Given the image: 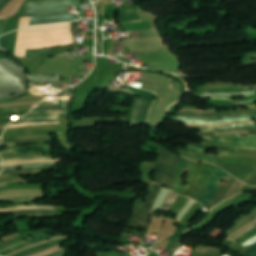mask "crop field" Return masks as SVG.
<instances>
[{"label":"crop field","mask_w":256,"mask_h":256,"mask_svg":"<svg viewBox=\"0 0 256 256\" xmlns=\"http://www.w3.org/2000/svg\"><path fill=\"white\" fill-rule=\"evenodd\" d=\"M64 30H70V23L39 26V27H28V31H27V28L20 30L18 33V38L16 42L15 56L24 57L26 31H27V34H30V33H48V32L64 31ZM71 37L73 36L70 31L55 32V33H49V34H30V35H27L26 42L51 41V40H59V39H65V38H71ZM72 41H73V38L59 40V41H51V42L26 43V49H39V48H45V47L70 45L72 44Z\"/></svg>","instance_id":"obj_1"},{"label":"crop field","mask_w":256,"mask_h":256,"mask_svg":"<svg viewBox=\"0 0 256 256\" xmlns=\"http://www.w3.org/2000/svg\"><path fill=\"white\" fill-rule=\"evenodd\" d=\"M182 158L174 152L163 148L156 160L155 181L171 189L177 167Z\"/></svg>","instance_id":"obj_2"},{"label":"crop field","mask_w":256,"mask_h":256,"mask_svg":"<svg viewBox=\"0 0 256 256\" xmlns=\"http://www.w3.org/2000/svg\"><path fill=\"white\" fill-rule=\"evenodd\" d=\"M27 16H31L30 26L75 20L74 14L68 13L66 7L48 10L27 11Z\"/></svg>","instance_id":"obj_3"},{"label":"crop field","mask_w":256,"mask_h":256,"mask_svg":"<svg viewBox=\"0 0 256 256\" xmlns=\"http://www.w3.org/2000/svg\"><path fill=\"white\" fill-rule=\"evenodd\" d=\"M159 189H160V186H157L155 184L153 185V187L148 195L144 209L138 208V207L133 208V215H132L128 225L142 227V228L148 227L151 206H152L153 200L156 197Z\"/></svg>","instance_id":"obj_4"},{"label":"crop field","mask_w":256,"mask_h":256,"mask_svg":"<svg viewBox=\"0 0 256 256\" xmlns=\"http://www.w3.org/2000/svg\"><path fill=\"white\" fill-rule=\"evenodd\" d=\"M216 169H217V167L206 163L199 178L197 179L194 190L191 193V198L198 201V199L202 195L211 175L215 172Z\"/></svg>","instance_id":"obj_5"},{"label":"crop field","mask_w":256,"mask_h":256,"mask_svg":"<svg viewBox=\"0 0 256 256\" xmlns=\"http://www.w3.org/2000/svg\"><path fill=\"white\" fill-rule=\"evenodd\" d=\"M226 174L227 173H225L223 170L218 168V170L211 177L206 190L204 191L203 195L199 199V202H201L203 205L208 204L210 202L211 198L213 197V195L215 194V192L217 191L220 185L218 181L220 179H224Z\"/></svg>","instance_id":"obj_6"},{"label":"crop field","mask_w":256,"mask_h":256,"mask_svg":"<svg viewBox=\"0 0 256 256\" xmlns=\"http://www.w3.org/2000/svg\"><path fill=\"white\" fill-rule=\"evenodd\" d=\"M76 4H78V0H52L38 3H28L27 10L57 8Z\"/></svg>","instance_id":"obj_7"},{"label":"crop field","mask_w":256,"mask_h":256,"mask_svg":"<svg viewBox=\"0 0 256 256\" xmlns=\"http://www.w3.org/2000/svg\"><path fill=\"white\" fill-rule=\"evenodd\" d=\"M204 165H205V163H203V164L195 163L194 164V166L191 168V170L188 174V178H187L188 185H185L181 195H185V196L189 197V195L194 187L195 181Z\"/></svg>","instance_id":"obj_8"},{"label":"crop field","mask_w":256,"mask_h":256,"mask_svg":"<svg viewBox=\"0 0 256 256\" xmlns=\"http://www.w3.org/2000/svg\"><path fill=\"white\" fill-rule=\"evenodd\" d=\"M192 165H193V162L183 158V160L179 166L176 181H175V186L172 191H174L177 194H180V192L183 188L182 181L180 179L182 176V173H183V171L189 170L192 167Z\"/></svg>","instance_id":"obj_9"},{"label":"crop field","mask_w":256,"mask_h":256,"mask_svg":"<svg viewBox=\"0 0 256 256\" xmlns=\"http://www.w3.org/2000/svg\"><path fill=\"white\" fill-rule=\"evenodd\" d=\"M255 87H249V88H239V87H201L197 90L201 92H222V93H239V92H245L248 90L255 89Z\"/></svg>","instance_id":"obj_10"},{"label":"crop field","mask_w":256,"mask_h":256,"mask_svg":"<svg viewBox=\"0 0 256 256\" xmlns=\"http://www.w3.org/2000/svg\"><path fill=\"white\" fill-rule=\"evenodd\" d=\"M141 21L139 8L123 9L121 23Z\"/></svg>","instance_id":"obj_11"},{"label":"crop field","mask_w":256,"mask_h":256,"mask_svg":"<svg viewBox=\"0 0 256 256\" xmlns=\"http://www.w3.org/2000/svg\"><path fill=\"white\" fill-rule=\"evenodd\" d=\"M256 226V219H254L252 222H250L248 225L244 226L240 230L236 231L235 233L231 234L226 238V240L234 241L235 238L240 237L242 234L246 233L250 229L254 228Z\"/></svg>","instance_id":"obj_12"},{"label":"crop field","mask_w":256,"mask_h":256,"mask_svg":"<svg viewBox=\"0 0 256 256\" xmlns=\"http://www.w3.org/2000/svg\"><path fill=\"white\" fill-rule=\"evenodd\" d=\"M66 48V47H63ZM62 48H54V49H43V50H28L26 51V57H35V58H44L45 54L54 50H58Z\"/></svg>","instance_id":"obj_13"},{"label":"crop field","mask_w":256,"mask_h":256,"mask_svg":"<svg viewBox=\"0 0 256 256\" xmlns=\"http://www.w3.org/2000/svg\"><path fill=\"white\" fill-rule=\"evenodd\" d=\"M52 80H60L58 74H47V75H35L30 76V81H52Z\"/></svg>","instance_id":"obj_14"},{"label":"crop field","mask_w":256,"mask_h":256,"mask_svg":"<svg viewBox=\"0 0 256 256\" xmlns=\"http://www.w3.org/2000/svg\"><path fill=\"white\" fill-rule=\"evenodd\" d=\"M177 198H178V195L174 194L173 192H170L168 198L162 205L161 210L169 212V210L172 208Z\"/></svg>","instance_id":"obj_15"},{"label":"crop field","mask_w":256,"mask_h":256,"mask_svg":"<svg viewBox=\"0 0 256 256\" xmlns=\"http://www.w3.org/2000/svg\"><path fill=\"white\" fill-rule=\"evenodd\" d=\"M18 209H55L54 206H17V207H8L0 208V211H12Z\"/></svg>","instance_id":"obj_16"},{"label":"crop field","mask_w":256,"mask_h":256,"mask_svg":"<svg viewBox=\"0 0 256 256\" xmlns=\"http://www.w3.org/2000/svg\"><path fill=\"white\" fill-rule=\"evenodd\" d=\"M47 158H54V156L53 155H46V156H29V157H20V158H6V159H3V162L28 160V159H47Z\"/></svg>","instance_id":"obj_17"},{"label":"crop field","mask_w":256,"mask_h":256,"mask_svg":"<svg viewBox=\"0 0 256 256\" xmlns=\"http://www.w3.org/2000/svg\"><path fill=\"white\" fill-rule=\"evenodd\" d=\"M55 165H56V163H39V164H30V165L7 166V167H4V169L18 168V167H22V168H28V167H50V166H55Z\"/></svg>","instance_id":"obj_18"},{"label":"crop field","mask_w":256,"mask_h":256,"mask_svg":"<svg viewBox=\"0 0 256 256\" xmlns=\"http://www.w3.org/2000/svg\"><path fill=\"white\" fill-rule=\"evenodd\" d=\"M149 104H150V100H145L144 101V104H143V106L140 109L136 125H141L142 124L143 117H144V115H145V113H146V111H147V109L149 107Z\"/></svg>","instance_id":"obj_19"},{"label":"crop field","mask_w":256,"mask_h":256,"mask_svg":"<svg viewBox=\"0 0 256 256\" xmlns=\"http://www.w3.org/2000/svg\"><path fill=\"white\" fill-rule=\"evenodd\" d=\"M39 162H60V159L28 160V161L8 162V163H4V165H14V164H22V163H39Z\"/></svg>","instance_id":"obj_20"},{"label":"crop field","mask_w":256,"mask_h":256,"mask_svg":"<svg viewBox=\"0 0 256 256\" xmlns=\"http://www.w3.org/2000/svg\"><path fill=\"white\" fill-rule=\"evenodd\" d=\"M129 90L132 91L133 93L135 94H138V95H141L145 98H148V99H153L154 98V94L150 93V92H147V91H143V90H139V89H135V88H132L130 86H128Z\"/></svg>","instance_id":"obj_21"},{"label":"crop field","mask_w":256,"mask_h":256,"mask_svg":"<svg viewBox=\"0 0 256 256\" xmlns=\"http://www.w3.org/2000/svg\"><path fill=\"white\" fill-rule=\"evenodd\" d=\"M256 118H250V119H237V120H227V121H216V122H199V121H185V120H177L176 121H181V122H189V123H206V124H217V123H224V122H230V121H247V120H253Z\"/></svg>","instance_id":"obj_22"},{"label":"crop field","mask_w":256,"mask_h":256,"mask_svg":"<svg viewBox=\"0 0 256 256\" xmlns=\"http://www.w3.org/2000/svg\"><path fill=\"white\" fill-rule=\"evenodd\" d=\"M240 115H254V114H249V113H242V114H226V115L211 116V117H202V116H194V115H178V116L193 117V118H221V117H225V116H240Z\"/></svg>","instance_id":"obj_23"},{"label":"crop field","mask_w":256,"mask_h":256,"mask_svg":"<svg viewBox=\"0 0 256 256\" xmlns=\"http://www.w3.org/2000/svg\"><path fill=\"white\" fill-rule=\"evenodd\" d=\"M25 212L57 213L55 210H19V211L4 212V213H6V214H16V213H25Z\"/></svg>","instance_id":"obj_24"},{"label":"crop field","mask_w":256,"mask_h":256,"mask_svg":"<svg viewBox=\"0 0 256 256\" xmlns=\"http://www.w3.org/2000/svg\"><path fill=\"white\" fill-rule=\"evenodd\" d=\"M39 173L41 172L11 173V174L0 175V178L22 176V175H38Z\"/></svg>","instance_id":"obj_25"},{"label":"crop field","mask_w":256,"mask_h":256,"mask_svg":"<svg viewBox=\"0 0 256 256\" xmlns=\"http://www.w3.org/2000/svg\"><path fill=\"white\" fill-rule=\"evenodd\" d=\"M143 101L144 100L140 98L139 101H138V104H137V106H136V108L134 110V113L132 115V128L135 127V121H136V117H137V114H138V110L141 107Z\"/></svg>","instance_id":"obj_26"},{"label":"crop field","mask_w":256,"mask_h":256,"mask_svg":"<svg viewBox=\"0 0 256 256\" xmlns=\"http://www.w3.org/2000/svg\"><path fill=\"white\" fill-rule=\"evenodd\" d=\"M256 234V228L250 230L249 232H247L246 234H244L243 236H241L239 239H237V241L240 242H245L247 239H249L250 237L254 236Z\"/></svg>","instance_id":"obj_27"},{"label":"crop field","mask_w":256,"mask_h":256,"mask_svg":"<svg viewBox=\"0 0 256 256\" xmlns=\"http://www.w3.org/2000/svg\"><path fill=\"white\" fill-rule=\"evenodd\" d=\"M246 117H256V116L230 117V118H223V119H192V118H183V117H175V118L187 119V120H199V121H216V120H225V119H232V118H246ZM171 118H173V117H171Z\"/></svg>","instance_id":"obj_28"},{"label":"crop field","mask_w":256,"mask_h":256,"mask_svg":"<svg viewBox=\"0 0 256 256\" xmlns=\"http://www.w3.org/2000/svg\"><path fill=\"white\" fill-rule=\"evenodd\" d=\"M58 247H60V245L55 246V247H53V248H51V249H49L47 251H43V252H40V253H37V254H33V255H30V256H45L47 254H50V253H53V252H56V251L62 249V248H58Z\"/></svg>","instance_id":"obj_29"},{"label":"crop field","mask_w":256,"mask_h":256,"mask_svg":"<svg viewBox=\"0 0 256 256\" xmlns=\"http://www.w3.org/2000/svg\"><path fill=\"white\" fill-rule=\"evenodd\" d=\"M195 158H202V159H206V160H210V161L229 163V164H234V162H235V161L223 160V159H213V158H209V157H205V156H199V155H196Z\"/></svg>","instance_id":"obj_30"},{"label":"crop field","mask_w":256,"mask_h":256,"mask_svg":"<svg viewBox=\"0 0 256 256\" xmlns=\"http://www.w3.org/2000/svg\"><path fill=\"white\" fill-rule=\"evenodd\" d=\"M63 238H65V236L57 237V238H54V239H51V240H48V241H45V242H42V243H38V244H35V245L27 246V247H25V248H23V249H21V250H19V251H17V252L11 253V254L6 255V256H12V255H14V254H16V253H18V252H20V251L24 250V249L32 248V247H35V246H38V245L44 244V243H46V242L55 241V240L63 239Z\"/></svg>","instance_id":"obj_31"},{"label":"crop field","mask_w":256,"mask_h":256,"mask_svg":"<svg viewBox=\"0 0 256 256\" xmlns=\"http://www.w3.org/2000/svg\"><path fill=\"white\" fill-rule=\"evenodd\" d=\"M42 198H12V199H1L0 202H14V201H26V200H41Z\"/></svg>","instance_id":"obj_32"},{"label":"crop field","mask_w":256,"mask_h":256,"mask_svg":"<svg viewBox=\"0 0 256 256\" xmlns=\"http://www.w3.org/2000/svg\"><path fill=\"white\" fill-rule=\"evenodd\" d=\"M57 236H60V235H52V236H50V237L41 239V240H39V241H35V242L28 243V244H26V245H23V246H21V247H18V248H16V249H14V250H11V251H9V252H7V253H4V254H2L1 256H4V255H6V254H8V253H11V252H14V251H16V250H19V249H21V248H23V247H25V246H27V245L34 244V243H38V242H41V241H44V240H47V239H50V238H54V237H57Z\"/></svg>","instance_id":"obj_33"},{"label":"crop field","mask_w":256,"mask_h":256,"mask_svg":"<svg viewBox=\"0 0 256 256\" xmlns=\"http://www.w3.org/2000/svg\"><path fill=\"white\" fill-rule=\"evenodd\" d=\"M65 240H66V239H64V240H59V241H55V242H63V241H65ZM55 242H51V243L44 244V245H41V246H38V247H35V248H32V249L25 250V251H23V252H21V253L15 255V256H21V255H23V254H25V253H28V252L32 251V250L46 247V246H48V245H50V244H52V243H55Z\"/></svg>","instance_id":"obj_34"},{"label":"crop field","mask_w":256,"mask_h":256,"mask_svg":"<svg viewBox=\"0 0 256 256\" xmlns=\"http://www.w3.org/2000/svg\"><path fill=\"white\" fill-rule=\"evenodd\" d=\"M255 124H247V125H239V126H253ZM236 125L234 126H226V127H190L188 126V128H192V129H219V128H229V127H235Z\"/></svg>","instance_id":"obj_35"},{"label":"crop field","mask_w":256,"mask_h":256,"mask_svg":"<svg viewBox=\"0 0 256 256\" xmlns=\"http://www.w3.org/2000/svg\"><path fill=\"white\" fill-rule=\"evenodd\" d=\"M26 170H28V171H47V170H50V168H29V169H26ZM11 172H18V171L14 170V169H12V170H4L2 172V174H4V173H11Z\"/></svg>","instance_id":"obj_36"},{"label":"crop field","mask_w":256,"mask_h":256,"mask_svg":"<svg viewBox=\"0 0 256 256\" xmlns=\"http://www.w3.org/2000/svg\"><path fill=\"white\" fill-rule=\"evenodd\" d=\"M256 92V90H252L246 93H240V94H200L201 96H215V95H230V96H242L247 95L249 93Z\"/></svg>","instance_id":"obj_37"},{"label":"crop field","mask_w":256,"mask_h":256,"mask_svg":"<svg viewBox=\"0 0 256 256\" xmlns=\"http://www.w3.org/2000/svg\"><path fill=\"white\" fill-rule=\"evenodd\" d=\"M38 1H45V0H25V2L23 3V5L21 6V8L18 10L17 13H25L26 12L27 2H38Z\"/></svg>","instance_id":"obj_38"},{"label":"crop field","mask_w":256,"mask_h":256,"mask_svg":"<svg viewBox=\"0 0 256 256\" xmlns=\"http://www.w3.org/2000/svg\"><path fill=\"white\" fill-rule=\"evenodd\" d=\"M60 122H52V123H25L21 125H13V126H8V128L11 127H22V126H28V125H43V124H59Z\"/></svg>","instance_id":"obj_39"},{"label":"crop field","mask_w":256,"mask_h":256,"mask_svg":"<svg viewBox=\"0 0 256 256\" xmlns=\"http://www.w3.org/2000/svg\"><path fill=\"white\" fill-rule=\"evenodd\" d=\"M234 123H250V122H234ZM234 123H225V124H218V125H206V124H188L185 123L186 125H192V126H226Z\"/></svg>","instance_id":"obj_40"},{"label":"crop field","mask_w":256,"mask_h":256,"mask_svg":"<svg viewBox=\"0 0 256 256\" xmlns=\"http://www.w3.org/2000/svg\"><path fill=\"white\" fill-rule=\"evenodd\" d=\"M29 20H30V17L21 18L19 29L28 26Z\"/></svg>","instance_id":"obj_41"},{"label":"crop field","mask_w":256,"mask_h":256,"mask_svg":"<svg viewBox=\"0 0 256 256\" xmlns=\"http://www.w3.org/2000/svg\"><path fill=\"white\" fill-rule=\"evenodd\" d=\"M243 256H256V244L252 245L251 249Z\"/></svg>","instance_id":"obj_42"},{"label":"crop field","mask_w":256,"mask_h":256,"mask_svg":"<svg viewBox=\"0 0 256 256\" xmlns=\"http://www.w3.org/2000/svg\"><path fill=\"white\" fill-rule=\"evenodd\" d=\"M62 117H65L64 116H54V117H43V118H26V119H18V120H15L13 122H16V121H25V120H33V119H53V118H62Z\"/></svg>","instance_id":"obj_43"},{"label":"crop field","mask_w":256,"mask_h":256,"mask_svg":"<svg viewBox=\"0 0 256 256\" xmlns=\"http://www.w3.org/2000/svg\"><path fill=\"white\" fill-rule=\"evenodd\" d=\"M48 232H51V231H48ZM48 232H46V233H48ZM46 233H42V234H39V235H35V236H31V237H28V238L21 239V240L15 242V243H13V244H10V245H8V246L17 244V243L22 242V241H24V240H27V239H30V238H33V237H37V236H40V235H43V234H46ZM8 246L2 247V248H0V250L6 248V247H8Z\"/></svg>","instance_id":"obj_44"},{"label":"crop field","mask_w":256,"mask_h":256,"mask_svg":"<svg viewBox=\"0 0 256 256\" xmlns=\"http://www.w3.org/2000/svg\"><path fill=\"white\" fill-rule=\"evenodd\" d=\"M50 147H51V146H47V147H35V148L50 149ZM24 149H29V148L7 149V150H1L0 152L15 151V150H24Z\"/></svg>","instance_id":"obj_45"},{"label":"crop field","mask_w":256,"mask_h":256,"mask_svg":"<svg viewBox=\"0 0 256 256\" xmlns=\"http://www.w3.org/2000/svg\"><path fill=\"white\" fill-rule=\"evenodd\" d=\"M256 126H253V127H246V128H234V129H219L217 130L218 132H221V131H233V130H242V129H255Z\"/></svg>","instance_id":"obj_46"},{"label":"crop field","mask_w":256,"mask_h":256,"mask_svg":"<svg viewBox=\"0 0 256 256\" xmlns=\"http://www.w3.org/2000/svg\"><path fill=\"white\" fill-rule=\"evenodd\" d=\"M256 242V236L250 238L248 241H246L245 243L241 244L243 246H248V245H252Z\"/></svg>","instance_id":"obj_47"},{"label":"crop field","mask_w":256,"mask_h":256,"mask_svg":"<svg viewBox=\"0 0 256 256\" xmlns=\"http://www.w3.org/2000/svg\"><path fill=\"white\" fill-rule=\"evenodd\" d=\"M68 110H60V111H46V112H30L28 114H39V113H63L67 112Z\"/></svg>","instance_id":"obj_48"},{"label":"crop field","mask_w":256,"mask_h":256,"mask_svg":"<svg viewBox=\"0 0 256 256\" xmlns=\"http://www.w3.org/2000/svg\"><path fill=\"white\" fill-rule=\"evenodd\" d=\"M42 121H61V119H53V120H34V121H26V122H42ZM20 123H25V122H16V123H11L12 124H20Z\"/></svg>","instance_id":"obj_49"},{"label":"crop field","mask_w":256,"mask_h":256,"mask_svg":"<svg viewBox=\"0 0 256 256\" xmlns=\"http://www.w3.org/2000/svg\"><path fill=\"white\" fill-rule=\"evenodd\" d=\"M7 36H8V34L2 37L1 43H0V47H1V48H4V49H5Z\"/></svg>","instance_id":"obj_50"},{"label":"crop field","mask_w":256,"mask_h":256,"mask_svg":"<svg viewBox=\"0 0 256 256\" xmlns=\"http://www.w3.org/2000/svg\"><path fill=\"white\" fill-rule=\"evenodd\" d=\"M256 170V167H253L252 168V170L248 173V174H246L242 179H241V181H245V180H247L248 178H249V176L254 172Z\"/></svg>","instance_id":"obj_51"},{"label":"crop field","mask_w":256,"mask_h":256,"mask_svg":"<svg viewBox=\"0 0 256 256\" xmlns=\"http://www.w3.org/2000/svg\"><path fill=\"white\" fill-rule=\"evenodd\" d=\"M23 244H25V242H22V243H20V244L14 245V246H12V247H10V248H8V249H5V250H3V251H0V254L6 252V251H8V250H11V249H13V248H16V247H18V246H21V245H23Z\"/></svg>","instance_id":"obj_52"},{"label":"crop field","mask_w":256,"mask_h":256,"mask_svg":"<svg viewBox=\"0 0 256 256\" xmlns=\"http://www.w3.org/2000/svg\"><path fill=\"white\" fill-rule=\"evenodd\" d=\"M63 114H66V113H63ZM63 114H51V115H26L22 118H25V117H37V116H52V115H63Z\"/></svg>","instance_id":"obj_53"},{"label":"crop field","mask_w":256,"mask_h":256,"mask_svg":"<svg viewBox=\"0 0 256 256\" xmlns=\"http://www.w3.org/2000/svg\"><path fill=\"white\" fill-rule=\"evenodd\" d=\"M70 54H66V52L65 53H57V54H55V55H52V56H49V57H54V56H69Z\"/></svg>","instance_id":"obj_54"},{"label":"crop field","mask_w":256,"mask_h":256,"mask_svg":"<svg viewBox=\"0 0 256 256\" xmlns=\"http://www.w3.org/2000/svg\"><path fill=\"white\" fill-rule=\"evenodd\" d=\"M61 103V101H54V102H41L40 104H58Z\"/></svg>","instance_id":"obj_55"},{"label":"crop field","mask_w":256,"mask_h":256,"mask_svg":"<svg viewBox=\"0 0 256 256\" xmlns=\"http://www.w3.org/2000/svg\"><path fill=\"white\" fill-rule=\"evenodd\" d=\"M33 151H51V150H31V151H18L17 153H26V152H33Z\"/></svg>","instance_id":"obj_56"},{"label":"crop field","mask_w":256,"mask_h":256,"mask_svg":"<svg viewBox=\"0 0 256 256\" xmlns=\"http://www.w3.org/2000/svg\"><path fill=\"white\" fill-rule=\"evenodd\" d=\"M62 252H64V250H61V251L56 252V253H53V254H51V255H49V256H55V255H58V254H60V253H62Z\"/></svg>","instance_id":"obj_57"},{"label":"crop field","mask_w":256,"mask_h":256,"mask_svg":"<svg viewBox=\"0 0 256 256\" xmlns=\"http://www.w3.org/2000/svg\"><path fill=\"white\" fill-rule=\"evenodd\" d=\"M2 21H3V20H0V28H1V25H2ZM4 21H5V20H4ZM4 21H3V25H4ZM3 25H2V28H1L0 35H1V33H2Z\"/></svg>","instance_id":"obj_58"},{"label":"crop field","mask_w":256,"mask_h":256,"mask_svg":"<svg viewBox=\"0 0 256 256\" xmlns=\"http://www.w3.org/2000/svg\"><path fill=\"white\" fill-rule=\"evenodd\" d=\"M10 1H11V0H8V1L4 4L3 7H5ZM3 7H2V8H3ZM2 8H1V9H2ZM1 9H0V11H1Z\"/></svg>","instance_id":"obj_59"},{"label":"crop field","mask_w":256,"mask_h":256,"mask_svg":"<svg viewBox=\"0 0 256 256\" xmlns=\"http://www.w3.org/2000/svg\"><path fill=\"white\" fill-rule=\"evenodd\" d=\"M7 0H4L1 4H0V7L6 2Z\"/></svg>","instance_id":"obj_60"},{"label":"crop field","mask_w":256,"mask_h":256,"mask_svg":"<svg viewBox=\"0 0 256 256\" xmlns=\"http://www.w3.org/2000/svg\"><path fill=\"white\" fill-rule=\"evenodd\" d=\"M237 136H239V135H237ZM247 136H249V137H254V136H256V135H247Z\"/></svg>","instance_id":"obj_61"},{"label":"crop field","mask_w":256,"mask_h":256,"mask_svg":"<svg viewBox=\"0 0 256 256\" xmlns=\"http://www.w3.org/2000/svg\"><path fill=\"white\" fill-rule=\"evenodd\" d=\"M251 58H254V59H256V57H251Z\"/></svg>","instance_id":"obj_62"},{"label":"crop field","mask_w":256,"mask_h":256,"mask_svg":"<svg viewBox=\"0 0 256 256\" xmlns=\"http://www.w3.org/2000/svg\"><path fill=\"white\" fill-rule=\"evenodd\" d=\"M3 0H0V3L2 2Z\"/></svg>","instance_id":"obj_63"},{"label":"crop field","mask_w":256,"mask_h":256,"mask_svg":"<svg viewBox=\"0 0 256 256\" xmlns=\"http://www.w3.org/2000/svg\"><path fill=\"white\" fill-rule=\"evenodd\" d=\"M0 166H2V163H0Z\"/></svg>","instance_id":"obj_64"},{"label":"crop field","mask_w":256,"mask_h":256,"mask_svg":"<svg viewBox=\"0 0 256 256\" xmlns=\"http://www.w3.org/2000/svg\"><path fill=\"white\" fill-rule=\"evenodd\" d=\"M0 162H2V160L0 159Z\"/></svg>","instance_id":"obj_65"},{"label":"crop field","mask_w":256,"mask_h":256,"mask_svg":"<svg viewBox=\"0 0 256 256\" xmlns=\"http://www.w3.org/2000/svg\"><path fill=\"white\" fill-rule=\"evenodd\" d=\"M2 169V167H0V170Z\"/></svg>","instance_id":"obj_66"},{"label":"crop field","mask_w":256,"mask_h":256,"mask_svg":"<svg viewBox=\"0 0 256 256\" xmlns=\"http://www.w3.org/2000/svg\"><path fill=\"white\" fill-rule=\"evenodd\" d=\"M1 39V38H0Z\"/></svg>","instance_id":"obj_67"}]
</instances>
